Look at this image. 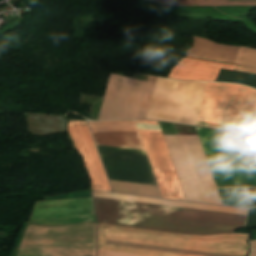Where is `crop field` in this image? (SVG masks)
<instances>
[{
	"instance_id": "obj_18",
	"label": "crop field",
	"mask_w": 256,
	"mask_h": 256,
	"mask_svg": "<svg viewBox=\"0 0 256 256\" xmlns=\"http://www.w3.org/2000/svg\"><path fill=\"white\" fill-rule=\"evenodd\" d=\"M157 77L149 76L137 118H145Z\"/></svg>"
},
{
	"instance_id": "obj_5",
	"label": "crop field",
	"mask_w": 256,
	"mask_h": 256,
	"mask_svg": "<svg viewBox=\"0 0 256 256\" xmlns=\"http://www.w3.org/2000/svg\"><path fill=\"white\" fill-rule=\"evenodd\" d=\"M163 136L186 199L222 205L198 137Z\"/></svg>"
},
{
	"instance_id": "obj_7",
	"label": "crop field",
	"mask_w": 256,
	"mask_h": 256,
	"mask_svg": "<svg viewBox=\"0 0 256 256\" xmlns=\"http://www.w3.org/2000/svg\"><path fill=\"white\" fill-rule=\"evenodd\" d=\"M206 84L158 77L146 119L195 125Z\"/></svg>"
},
{
	"instance_id": "obj_20",
	"label": "crop field",
	"mask_w": 256,
	"mask_h": 256,
	"mask_svg": "<svg viewBox=\"0 0 256 256\" xmlns=\"http://www.w3.org/2000/svg\"><path fill=\"white\" fill-rule=\"evenodd\" d=\"M252 248H256V241H251Z\"/></svg>"
},
{
	"instance_id": "obj_19",
	"label": "crop field",
	"mask_w": 256,
	"mask_h": 256,
	"mask_svg": "<svg viewBox=\"0 0 256 256\" xmlns=\"http://www.w3.org/2000/svg\"><path fill=\"white\" fill-rule=\"evenodd\" d=\"M98 256H144V255H136V254H127V253H119V252H110V251L98 250Z\"/></svg>"
},
{
	"instance_id": "obj_13",
	"label": "crop field",
	"mask_w": 256,
	"mask_h": 256,
	"mask_svg": "<svg viewBox=\"0 0 256 256\" xmlns=\"http://www.w3.org/2000/svg\"><path fill=\"white\" fill-rule=\"evenodd\" d=\"M239 47L215 44L203 38L193 36V46L186 57L211 60L223 63H235Z\"/></svg>"
},
{
	"instance_id": "obj_1",
	"label": "crop field",
	"mask_w": 256,
	"mask_h": 256,
	"mask_svg": "<svg viewBox=\"0 0 256 256\" xmlns=\"http://www.w3.org/2000/svg\"><path fill=\"white\" fill-rule=\"evenodd\" d=\"M99 222L169 232L210 234L244 226L246 215L93 197Z\"/></svg>"
},
{
	"instance_id": "obj_21",
	"label": "crop field",
	"mask_w": 256,
	"mask_h": 256,
	"mask_svg": "<svg viewBox=\"0 0 256 256\" xmlns=\"http://www.w3.org/2000/svg\"><path fill=\"white\" fill-rule=\"evenodd\" d=\"M250 256H256V250H252Z\"/></svg>"
},
{
	"instance_id": "obj_6",
	"label": "crop field",
	"mask_w": 256,
	"mask_h": 256,
	"mask_svg": "<svg viewBox=\"0 0 256 256\" xmlns=\"http://www.w3.org/2000/svg\"><path fill=\"white\" fill-rule=\"evenodd\" d=\"M17 256H95V224H29Z\"/></svg>"
},
{
	"instance_id": "obj_15",
	"label": "crop field",
	"mask_w": 256,
	"mask_h": 256,
	"mask_svg": "<svg viewBox=\"0 0 256 256\" xmlns=\"http://www.w3.org/2000/svg\"><path fill=\"white\" fill-rule=\"evenodd\" d=\"M170 6H256V0H147Z\"/></svg>"
},
{
	"instance_id": "obj_14",
	"label": "crop field",
	"mask_w": 256,
	"mask_h": 256,
	"mask_svg": "<svg viewBox=\"0 0 256 256\" xmlns=\"http://www.w3.org/2000/svg\"><path fill=\"white\" fill-rule=\"evenodd\" d=\"M92 195L97 196V197L140 201V202L157 203V204L174 205V206L191 207V208L208 209V210H217V211L234 212V213H242V214H246V212H247L246 209H241V208H232V207L197 204V203L162 200V199H153V198L118 195V194L101 193V192H93Z\"/></svg>"
},
{
	"instance_id": "obj_11",
	"label": "crop field",
	"mask_w": 256,
	"mask_h": 256,
	"mask_svg": "<svg viewBox=\"0 0 256 256\" xmlns=\"http://www.w3.org/2000/svg\"><path fill=\"white\" fill-rule=\"evenodd\" d=\"M97 144L144 150L134 121H88Z\"/></svg>"
},
{
	"instance_id": "obj_12",
	"label": "crop field",
	"mask_w": 256,
	"mask_h": 256,
	"mask_svg": "<svg viewBox=\"0 0 256 256\" xmlns=\"http://www.w3.org/2000/svg\"><path fill=\"white\" fill-rule=\"evenodd\" d=\"M220 68L236 70L237 66L182 58L169 77L187 80L214 81Z\"/></svg>"
},
{
	"instance_id": "obj_16",
	"label": "crop field",
	"mask_w": 256,
	"mask_h": 256,
	"mask_svg": "<svg viewBox=\"0 0 256 256\" xmlns=\"http://www.w3.org/2000/svg\"><path fill=\"white\" fill-rule=\"evenodd\" d=\"M256 184V138L237 134Z\"/></svg>"
},
{
	"instance_id": "obj_9",
	"label": "crop field",
	"mask_w": 256,
	"mask_h": 256,
	"mask_svg": "<svg viewBox=\"0 0 256 256\" xmlns=\"http://www.w3.org/2000/svg\"><path fill=\"white\" fill-rule=\"evenodd\" d=\"M145 83L111 74L98 120L135 119Z\"/></svg>"
},
{
	"instance_id": "obj_4",
	"label": "crop field",
	"mask_w": 256,
	"mask_h": 256,
	"mask_svg": "<svg viewBox=\"0 0 256 256\" xmlns=\"http://www.w3.org/2000/svg\"><path fill=\"white\" fill-rule=\"evenodd\" d=\"M255 92L238 84L208 83L196 125L244 133ZM245 133L256 136V96Z\"/></svg>"
},
{
	"instance_id": "obj_8",
	"label": "crop field",
	"mask_w": 256,
	"mask_h": 256,
	"mask_svg": "<svg viewBox=\"0 0 256 256\" xmlns=\"http://www.w3.org/2000/svg\"><path fill=\"white\" fill-rule=\"evenodd\" d=\"M136 123L158 124L152 121ZM163 198L186 200L160 130L138 129Z\"/></svg>"
},
{
	"instance_id": "obj_2",
	"label": "crop field",
	"mask_w": 256,
	"mask_h": 256,
	"mask_svg": "<svg viewBox=\"0 0 256 256\" xmlns=\"http://www.w3.org/2000/svg\"><path fill=\"white\" fill-rule=\"evenodd\" d=\"M247 235L169 234L99 224L98 249L153 256H245Z\"/></svg>"
},
{
	"instance_id": "obj_17",
	"label": "crop field",
	"mask_w": 256,
	"mask_h": 256,
	"mask_svg": "<svg viewBox=\"0 0 256 256\" xmlns=\"http://www.w3.org/2000/svg\"><path fill=\"white\" fill-rule=\"evenodd\" d=\"M235 64L253 67L238 66L237 70L256 74V51L240 48Z\"/></svg>"
},
{
	"instance_id": "obj_10",
	"label": "crop field",
	"mask_w": 256,
	"mask_h": 256,
	"mask_svg": "<svg viewBox=\"0 0 256 256\" xmlns=\"http://www.w3.org/2000/svg\"><path fill=\"white\" fill-rule=\"evenodd\" d=\"M68 130L84 157L92 189L111 191L86 121H69Z\"/></svg>"
},
{
	"instance_id": "obj_3",
	"label": "crop field",
	"mask_w": 256,
	"mask_h": 256,
	"mask_svg": "<svg viewBox=\"0 0 256 256\" xmlns=\"http://www.w3.org/2000/svg\"><path fill=\"white\" fill-rule=\"evenodd\" d=\"M195 128L217 187L255 186L236 134ZM243 189L249 205H255L256 188ZM243 189L219 190L225 204L248 207Z\"/></svg>"
}]
</instances>
